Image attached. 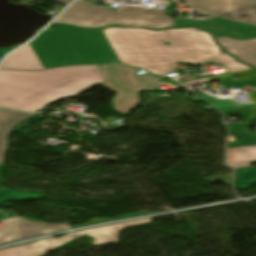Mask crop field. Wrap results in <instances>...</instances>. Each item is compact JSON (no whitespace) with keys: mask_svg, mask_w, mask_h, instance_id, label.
Wrapping results in <instances>:
<instances>
[{"mask_svg":"<svg viewBox=\"0 0 256 256\" xmlns=\"http://www.w3.org/2000/svg\"><path fill=\"white\" fill-rule=\"evenodd\" d=\"M225 88H243V86L249 85L253 88H256V79L244 80V81H233L221 83Z\"/></svg>","mask_w":256,"mask_h":256,"instance_id":"obj_17","label":"crop field"},{"mask_svg":"<svg viewBox=\"0 0 256 256\" xmlns=\"http://www.w3.org/2000/svg\"><path fill=\"white\" fill-rule=\"evenodd\" d=\"M246 124L226 125L242 140L231 142L227 148L226 162L230 167H247L251 162H256V135L245 131Z\"/></svg>","mask_w":256,"mask_h":256,"instance_id":"obj_8","label":"crop field"},{"mask_svg":"<svg viewBox=\"0 0 256 256\" xmlns=\"http://www.w3.org/2000/svg\"><path fill=\"white\" fill-rule=\"evenodd\" d=\"M0 68L32 70L43 69V66L29 44L8 56Z\"/></svg>","mask_w":256,"mask_h":256,"instance_id":"obj_12","label":"crop field"},{"mask_svg":"<svg viewBox=\"0 0 256 256\" xmlns=\"http://www.w3.org/2000/svg\"><path fill=\"white\" fill-rule=\"evenodd\" d=\"M14 219H19V218H14ZM10 220H13V219H10ZM7 221V220H6Z\"/></svg>","mask_w":256,"mask_h":256,"instance_id":"obj_22","label":"crop field"},{"mask_svg":"<svg viewBox=\"0 0 256 256\" xmlns=\"http://www.w3.org/2000/svg\"><path fill=\"white\" fill-rule=\"evenodd\" d=\"M227 178V179H224ZM233 178V173L230 174H226V175H220V176H216V177H211V178H207V180H221L225 183H231Z\"/></svg>","mask_w":256,"mask_h":256,"instance_id":"obj_19","label":"crop field"},{"mask_svg":"<svg viewBox=\"0 0 256 256\" xmlns=\"http://www.w3.org/2000/svg\"><path fill=\"white\" fill-rule=\"evenodd\" d=\"M32 116L33 114L0 109V165L3 163L7 148L6 139L11 131V128L19 123L22 119L30 118Z\"/></svg>","mask_w":256,"mask_h":256,"instance_id":"obj_13","label":"crop field"},{"mask_svg":"<svg viewBox=\"0 0 256 256\" xmlns=\"http://www.w3.org/2000/svg\"><path fill=\"white\" fill-rule=\"evenodd\" d=\"M217 16L256 24V4Z\"/></svg>","mask_w":256,"mask_h":256,"instance_id":"obj_14","label":"crop field"},{"mask_svg":"<svg viewBox=\"0 0 256 256\" xmlns=\"http://www.w3.org/2000/svg\"><path fill=\"white\" fill-rule=\"evenodd\" d=\"M2 168V166H0V169Z\"/></svg>","mask_w":256,"mask_h":256,"instance_id":"obj_23","label":"crop field"},{"mask_svg":"<svg viewBox=\"0 0 256 256\" xmlns=\"http://www.w3.org/2000/svg\"><path fill=\"white\" fill-rule=\"evenodd\" d=\"M54 23H65L85 28L108 24L164 28L172 27L173 19L166 16L164 12L149 11L132 6H124L117 12L78 0L56 19Z\"/></svg>","mask_w":256,"mask_h":256,"instance_id":"obj_4","label":"crop field"},{"mask_svg":"<svg viewBox=\"0 0 256 256\" xmlns=\"http://www.w3.org/2000/svg\"><path fill=\"white\" fill-rule=\"evenodd\" d=\"M145 214H148V213L146 211H143V212H138V213L126 215V216H123L121 218H127V217H133V216H139V215H145ZM121 218H115V219H121ZM115 219L96 220V221H92V222H89V223H86V224H83V225L94 224V223H99V222H104V221H109V220H115ZM83 225H80V226H83ZM73 227H78V226H70V228H73Z\"/></svg>","mask_w":256,"mask_h":256,"instance_id":"obj_18","label":"crop field"},{"mask_svg":"<svg viewBox=\"0 0 256 256\" xmlns=\"http://www.w3.org/2000/svg\"><path fill=\"white\" fill-rule=\"evenodd\" d=\"M256 183V168L237 169L236 189H250Z\"/></svg>","mask_w":256,"mask_h":256,"instance_id":"obj_15","label":"crop field"},{"mask_svg":"<svg viewBox=\"0 0 256 256\" xmlns=\"http://www.w3.org/2000/svg\"><path fill=\"white\" fill-rule=\"evenodd\" d=\"M31 46L44 68L118 61L101 29L84 32L71 27H51Z\"/></svg>","mask_w":256,"mask_h":256,"instance_id":"obj_3","label":"crop field"},{"mask_svg":"<svg viewBox=\"0 0 256 256\" xmlns=\"http://www.w3.org/2000/svg\"><path fill=\"white\" fill-rule=\"evenodd\" d=\"M186 3L210 14H221L252 5L256 0H184Z\"/></svg>","mask_w":256,"mask_h":256,"instance_id":"obj_11","label":"crop field"},{"mask_svg":"<svg viewBox=\"0 0 256 256\" xmlns=\"http://www.w3.org/2000/svg\"><path fill=\"white\" fill-rule=\"evenodd\" d=\"M14 197L13 199H10ZM44 197L41 192H19L15 190L0 191V205L5 201L39 199Z\"/></svg>","mask_w":256,"mask_h":256,"instance_id":"obj_16","label":"crop field"},{"mask_svg":"<svg viewBox=\"0 0 256 256\" xmlns=\"http://www.w3.org/2000/svg\"><path fill=\"white\" fill-rule=\"evenodd\" d=\"M1 223L4 225L0 226V244L42 233L67 229L66 227H48L28 220H13Z\"/></svg>","mask_w":256,"mask_h":256,"instance_id":"obj_9","label":"crop field"},{"mask_svg":"<svg viewBox=\"0 0 256 256\" xmlns=\"http://www.w3.org/2000/svg\"><path fill=\"white\" fill-rule=\"evenodd\" d=\"M148 222H153V220L149 218L138 221L88 229L84 231L67 234L61 239H56L53 237L42 239L40 241L33 242L30 244L2 250L0 251V256H40L82 235L95 238V245L118 242L117 234L119 231L128 226L140 225Z\"/></svg>","mask_w":256,"mask_h":256,"instance_id":"obj_6","label":"crop field"},{"mask_svg":"<svg viewBox=\"0 0 256 256\" xmlns=\"http://www.w3.org/2000/svg\"><path fill=\"white\" fill-rule=\"evenodd\" d=\"M183 26H197L212 32L215 37L225 35L242 39L256 36L255 25H248L219 17H214L211 20H174V28Z\"/></svg>","mask_w":256,"mask_h":256,"instance_id":"obj_7","label":"crop field"},{"mask_svg":"<svg viewBox=\"0 0 256 256\" xmlns=\"http://www.w3.org/2000/svg\"><path fill=\"white\" fill-rule=\"evenodd\" d=\"M20 45V44H19ZM18 47V46H17ZM16 48V47H14ZM13 48H5V49H0V59L2 57V54H5L6 52L12 50Z\"/></svg>","mask_w":256,"mask_h":256,"instance_id":"obj_20","label":"crop field"},{"mask_svg":"<svg viewBox=\"0 0 256 256\" xmlns=\"http://www.w3.org/2000/svg\"><path fill=\"white\" fill-rule=\"evenodd\" d=\"M103 82L97 66L39 72L0 70V107L33 112Z\"/></svg>","mask_w":256,"mask_h":256,"instance_id":"obj_2","label":"crop field"},{"mask_svg":"<svg viewBox=\"0 0 256 256\" xmlns=\"http://www.w3.org/2000/svg\"><path fill=\"white\" fill-rule=\"evenodd\" d=\"M223 50L238 58L239 61L256 66V38L251 40H235L219 37ZM216 39V40H217Z\"/></svg>","mask_w":256,"mask_h":256,"instance_id":"obj_10","label":"crop field"},{"mask_svg":"<svg viewBox=\"0 0 256 256\" xmlns=\"http://www.w3.org/2000/svg\"><path fill=\"white\" fill-rule=\"evenodd\" d=\"M102 30L121 63L139 66L160 76L176 72L172 64L178 62L194 65L222 63L228 73L255 69L221 53L220 46L215 44L211 34L196 28L161 31L137 28ZM165 41L170 45L164 46Z\"/></svg>","mask_w":256,"mask_h":256,"instance_id":"obj_1","label":"crop field"},{"mask_svg":"<svg viewBox=\"0 0 256 256\" xmlns=\"http://www.w3.org/2000/svg\"><path fill=\"white\" fill-rule=\"evenodd\" d=\"M105 80L102 86L118 92L112 102L113 110L127 115L139 102L140 90H157L160 78L149 73L137 74L138 68L125 65L99 66Z\"/></svg>","mask_w":256,"mask_h":256,"instance_id":"obj_5","label":"crop field"},{"mask_svg":"<svg viewBox=\"0 0 256 256\" xmlns=\"http://www.w3.org/2000/svg\"><path fill=\"white\" fill-rule=\"evenodd\" d=\"M56 1H58V2H66V3H70V2H72L73 0H56Z\"/></svg>","mask_w":256,"mask_h":256,"instance_id":"obj_21","label":"crop field"}]
</instances>
